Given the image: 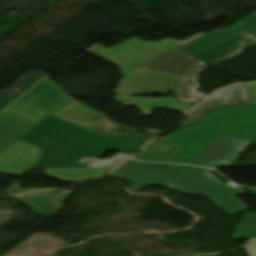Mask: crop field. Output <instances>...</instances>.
<instances>
[{
	"instance_id": "obj_1",
	"label": "crop field",
	"mask_w": 256,
	"mask_h": 256,
	"mask_svg": "<svg viewBox=\"0 0 256 256\" xmlns=\"http://www.w3.org/2000/svg\"><path fill=\"white\" fill-rule=\"evenodd\" d=\"M20 140L43 150L34 169L87 167L110 150L129 156L148 142L114 139L51 116Z\"/></svg>"
},
{
	"instance_id": "obj_2",
	"label": "crop field",
	"mask_w": 256,
	"mask_h": 256,
	"mask_svg": "<svg viewBox=\"0 0 256 256\" xmlns=\"http://www.w3.org/2000/svg\"><path fill=\"white\" fill-rule=\"evenodd\" d=\"M221 137L253 140L256 137V106L216 110L196 125L162 139L185 147L168 162L189 164Z\"/></svg>"
},
{
	"instance_id": "obj_3",
	"label": "crop field",
	"mask_w": 256,
	"mask_h": 256,
	"mask_svg": "<svg viewBox=\"0 0 256 256\" xmlns=\"http://www.w3.org/2000/svg\"><path fill=\"white\" fill-rule=\"evenodd\" d=\"M203 35L205 33L197 34L186 41L164 39L160 42H144L134 37L110 50L95 44L85 51L118 65L125 75Z\"/></svg>"
},
{
	"instance_id": "obj_4",
	"label": "crop field",
	"mask_w": 256,
	"mask_h": 256,
	"mask_svg": "<svg viewBox=\"0 0 256 256\" xmlns=\"http://www.w3.org/2000/svg\"><path fill=\"white\" fill-rule=\"evenodd\" d=\"M58 85L43 77L7 110L38 123L52 112L74 102Z\"/></svg>"
},
{
	"instance_id": "obj_5",
	"label": "crop field",
	"mask_w": 256,
	"mask_h": 256,
	"mask_svg": "<svg viewBox=\"0 0 256 256\" xmlns=\"http://www.w3.org/2000/svg\"><path fill=\"white\" fill-rule=\"evenodd\" d=\"M175 74L143 70L141 68L125 75L116 91L114 102L124 106H135L141 98L129 97L130 94H161L172 89Z\"/></svg>"
},
{
	"instance_id": "obj_6",
	"label": "crop field",
	"mask_w": 256,
	"mask_h": 256,
	"mask_svg": "<svg viewBox=\"0 0 256 256\" xmlns=\"http://www.w3.org/2000/svg\"><path fill=\"white\" fill-rule=\"evenodd\" d=\"M246 105H249V101L244 84L221 89L189 112L186 118L182 120L180 124L182 127H184L188 124L196 122L214 109Z\"/></svg>"
},
{
	"instance_id": "obj_7",
	"label": "crop field",
	"mask_w": 256,
	"mask_h": 256,
	"mask_svg": "<svg viewBox=\"0 0 256 256\" xmlns=\"http://www.w3.org/2000/svg\"><path fill=\"white\" fill-rule=\"evenodd\" d=\"M238 33L256 37V13L237 22L236 26L215 30L208 35L174 51L192 57Z\"/></svg>"
},
{
	"instance_id": "obj_8",
	"label": "crop field",
	"mask_w": 256,
	"mask_h": 256,
	"mask_svg": "<svg viewBox=\"0 0 256 256\" xmlns=\"http://www.w3.org/2000/svg\"><path fill=\"white\" fill-rule=\"evenodd\" d=\"M249 143L221 138L190 164L212 167L230 165Z\"/></svg>"
},
{
	"instance_id": "obj_9",
	"label": "crop field",
	"mask_w": 256,
	"mask_h": 256,
	"mask_svg": "<svg viewBox=\"0 0 256 256\" xmlns=\"http://www.w3.org/2000/svg\"><path fill=\"white\" fill-rule=\"evenodd\" d=\"M40 153L41 150L18 140L0 155V170L14 160L16 164L4 174L21 175L35 165Z\"/></svg>"
},
{
	"instance_id": "obj_10",
	"label": "crop field",
	"mask_w": 256,
	"mask_h": 256,
	"mask_svg": "<svg viewBox=\"0 0 256 256\" xmlns=\"http://www.w3.org/2000/svg\"><path fill=\"white\" fill-rule=\"evenodd\" d=\"M72 191H60L63 200L56 194V191H50L47 195L46 191L26 194L14 199L22 202L29 207L36 215L40 217H50L59 212L63 206L65 199L72 195Z\"/></svg>"
},
{
	"instance_id": "obj_11",
	"label": "crop field",
	"mask_w": 256,
	"mask_h": 256,
	"mask_svg": "<svg viewBox=\"0 0 256 256\" xmlns=\"http://www.w3.org/2000/svg\"><path fill=\"white\" fill-rule=\"evenodd\" d=\"M197 60L190 58L183 65L180 66L176 73L175 84L173 90L177 93L178 100L186 102H196L202 99L197 88L192 87V82L195 74L205 65Z\"/></svg>"
},
{
	"instance_id": "obj_12",
	"label": "crop field",
	"mask_w": 256,
	"mask_h": 256,
	"mask_svg": "<svg viewBox=\"0 0 256 256\" xmlns=\"http://www.w3.org/2000/svg\"><path fill=\"white\" fill-rule=\"evenodd\" d=\"M209 171L212 170L193 167L171 187L178 190L198 194L223 185V183L220 182Z\"/></svg>"
},
{
	"instance_id": "obj_13",
	"label": "crop field",
	"mask_w": 256,
	"mask_h": 256,
	"mask_svg": "<svg viewBox=\"0 0 256 256\" xmlns=\"http://www.w3.org/2000/svg\"><path fill=\"white\" fill-rule=\"evenodd\" d=\"M35 124L7 110L0 113V152Z\"/></svg>"
},
{
	"instance_id": "obj_14",
	"label": "crop field",
	"mask_w": 256,
	"mask_h": 256,
	"mask_svg": "<svg viewBox=\"0 0 256 256\" xmlns=\"http://www.w3.org/2000/svg\"><path fill=\"white\" fill-rule=\"evenodd\" d=\"M204 193L230 214L248 208V206L235 197L244 192L230 183Z\"/></svg>"
},
{
	"instance_id": "obj_15",
	"label": "crop field",
	"mask_w": 256,
	"mask_h": 256,
	"mask_svg": "<svg viewBox=\"0 0 256 256\" xmlns=\"http://www.w3.org/2000/svg\"><path fill=\"white\" fill-rule=\"evenodd\" d=\"M121 167L175 179H179L192 168L190 166L180 165L139 163L130 159H128Z\"/></svg>"
},
{
	"instance_id": "obj_16",
	"label": "crop field",
	"mask_w": 256,
	"mask_h": 256,
	"mask_svg": "<svg viewBox=\"0 0 256 256\" xmlns=\"http://www.w3.org/2000/svg\"><path fill=\"white\" fill-rule=\"evenodd\" d=\"M183 147L159 139L148 144L132 158L136 160L167 162Z\"/></svg>"
},
{
	"instance_id": "obj_17",
	"label": "crop field",
	"mask_w": 256,
	"mask_h": 256,
	"mask_svg": "<svg viewBox=\"0 0 256 256\" xmlns=\"http://www.w3.org/2000/svg\"><path fill=\"white\" fill-rule=\"evenodd\" d=\"M247 37L248 36L238 34L192 58L210 64L239 51L242 48L243 40Z\"/></svg>"
},
{
	"instance_id": "obj_18",
	"label": "crop field",
	"mask_w": 256,
	"mask_h": 256,
	"mask_svg": "<svg viewBox=\"0 0 256 256\" xmlns=\"http://www.w3.org/2000/svg\"><path fill=\"white\" fill-rule=\"evenodd\" d=\"M99 112H96L94 110H91L87 108L84 104L76 101L58 111L51 114L78 124H81L83 126L97 129L96 123L89 122L94 116H96ZM77 124V125H78ZM80 125V126H81Z\"/></svg>"
},
{
	"instance_id": "obj_19",
	"label": "crop field",
	"mask_w": 256,
	"mask_h": 256,
	"mask_svg": "<svg viewBox=\"0 0 256 256\" xmlns=\"http://www.w3.org/2000/svg\"><path fill=\"white\" fill-rule=\"evenodd\" d=\"M112 168L45 169V172L63 181H82L99 178Z\"/></svg>"
},
{
	"instance_id": "obj_20",
	"label": "crop field",
	"mask_w": 256,
	"mask_h": 256,
	"mask_svg": "<svg viewBox=\"0 0 256 256\" xmlns=\"http://www.w3.org/2000/svg\"><path fill=\"white\" fill-rule=\"evenodd\" d=\"M194 104L178 101L175 99L161 98H145L144 102L136 109L143 110L141 115L151 116L153 109H167L185 113Z\"/></svg>"
},
{
	"instance_id": "obj_21",
	"label": "crop field",
	"mask_w": 256,
	"mask_h": 256,
	"mask_svg": "<svg viewBox=\"0 0 256 256\" xmlns=\"http://www.w3.org/2000/svg\"><path fill=\"white\" fill-rule=\"evenodd\" d=\"M111 176H115L118 178L135 182L133 185L130 186V188L136 191H138L146 183L158 185L162 183L173 184L174 182L177 181L174 179H168L164 177L154 176V175L126 170L122 168H119L118 170H116L113 174H111Z\"/></svg>"
},
{
	"instance_id": "obj_22",
	"label": "crop field",
	"mask_w": 256,
	"mask_h": 256,
	"mask_svg": "<svg viewBox=\"0 0 256 256\" xmlns=\"http://www.w3.org/2000/svg\"><path fill=\"white\" fill-rule=\"evenodd\" d=\"M45 73L34 71L30 72L22 78L21 81L17 82L11 89L0 92V110L21 95L25 90H27L31 85H33L37 80H39Z\"/></svg>"
},
{
	"instance_id": "obj_23",
	"label": "crop field",
	"mask_w": 256,
	"mask_h": 256,
	"mask_svg": "<svg viewBox=\"0 0 256 256\" xmlns=\"http://www.w3.org/2000/svg\"><path fill=\"white\" fill-rule=\"evenodd\" d=\"M189 57L181 55L177 52H170L157 60L143 66L144 69L175 73L178 67L184 63Z\"/></svg>"
},
{
	"instance_id": "obj_24",
	"label": "crop field",
	"mask_w": 256,
	"mask_h": 256,
	"mask_svg": "<svg viewBox=\"0 0 256 256\" xmlns=\"http://www.w3.org/2000/svg\"><path fill=\"white\" fill-rule=\"evenodd\" d=\"M236 238H256V214L248 213L238 224Z\"/></svg>"
},
{
	"instance_id": "obj_25",
	"label": "crop field",
	"mask_w": 256,
	"mask_h": 256,
	"mask_svg": "<svg viewBox=\"0 0 256 256\" xmlns=\"http://www.w3.org/2000/svg\"><path fill=\"white\" fill-rule=\"evenodd\" d=\"M102 117V119L100 121H94L95 119H97L98 117ZM92 122H96V123H99L98 125V131H101V132H104L106 134H109V135H112V136H117V129L119 128V125H116V124H112L110 123L107 118L105 116H103L102 114H98L95 118H93L91 120ZM100 132V133H101ZM103 133V134H104Z\"/></svg>"
},
{
	"instance_id": "obj_26",
	"label": "crop field",
	"mask_w": 256,
	"mask_h": 256,
	"mask_svg": "<svg viewBox=\"0 0 256 256\" xmlns=\"http://www.w3.org/2000/svg\"><path fill=\"white\" fill-rule=\"evenodd\" d=\"M158 133L159 132H154V131H146L144 134L125 133V134H118L117 137L151 139Z\"/></svg>"
},
{
	"instance_id": "obj_27",
	"label": "crop field",
	"mask_w": 256,
	"mask_h": 256,
	"mask_svg": "<svg viewBox=\"0 0 256 256\" xmlns=\"http://www.w3.org/2000/svg\"><path fill=\"white\" fill-rule=\"evenodd\" d=\"M248 92L249 101L251 105L256 104V84L245 86Z\"/></svg>"
},
{
	"instance_id": "obj_28",
	"label": "crop field",
	"mask_w": 256,
	"mask_h": 256,
	"mask_svg": "<svg viewBox=\"0 0 256 256\" xmlns=\"http://www.w3.org/2000/svg\"><path fill=\"white\" fill-rule=\"evenodd\" d=\"M250 256H256V239H250L245 246Z\"/></svg>"
},
{
	"instance_id": "obj_29",
	"label": "crop field",
	"mask_w": 256,
	"mask_h": 256,
	"mask_svg": "<svg viewBox=\"0 0 256 256\" xmlns=\"http://www.w3.org/2000/svg\"><path fill=\"white\" fill-rule=\"evenodd\" d=\"M160 186H166V187H170L171 185H168V184H163V185H160Z\"/></svg>"
},
{
	"instance_id": "obj_30",
	"label": "crop field",
	"mask_w": 256,
	"mask_h": 256,
	"mask_svg": "<svg viewBox=\"0 0 256 256\" xmlns=\"http://www.w3.org/2000/svg\"><path fill=\"white\" fill-rule=\"evenodd\" d=\"M251 142L256 143V138L253 141H251Z\"/></svg>"
},
{
	"instance_id": "obj_31",
	"label": "crop field",
	"mask_w": 256,
	"mask_h": 256,
	"mask_svg": "<svg viewBox=\"0 0 256 256\" xmlns=\"http://www.w3.org/2000/svg\"><path fill=\"white\" fill-rule=\"evenodd\" d=\"M255 165H256V163H255Z\"/></svg>"
}]
</instances>
